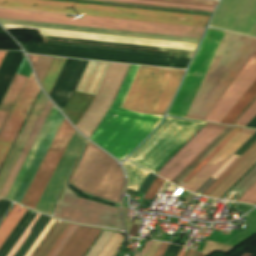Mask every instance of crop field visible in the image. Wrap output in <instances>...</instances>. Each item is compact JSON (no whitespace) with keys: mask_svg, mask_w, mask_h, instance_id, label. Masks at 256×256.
Listing matches in <instances>:
<instances>
[{"mask_svg":"<svg viewBox=\"0 0 256 256\" xmlns=\"http://www.w3.org/2000/svg\"><path fill=\"white\" fill-rule=\"evenodd\" d=\"M214 32L207 31L168 113H176ZM225 33L216 30L176 115H168L186 117ZM255 48V38L226 33L186 118L204 120Z\"/></svg>","mask_w":256,"mask_h":256,"instance_id":"8a807250","label":"crop field"},{"mask_svg":"<svg viewBox=\"0 0 256 256\" xmlns=\"http://www.w3.org/2000/svg\"><path fill=\"white\" fill-rule=\"evenodd\" d=\"M139 67L131 66L112 108L90 138L119 161L123 160L162 118L120 108Z\"/></svg>","mask_w":256,"mask_h":256,"instance_id":"ac0d7876","label":"crop field"},{"mask_svg":"<svg viewBox=\"0 0 256 256\" xmlns=\"http://www.w3.org/2000/svg\"><path fill=\"white\" fill-rule=\"evenodd\" d=\"M0 6L81 15H97L201 27H205L210 18L206 16L176 14L50 0H0Z\"/></svg>","mask_w":256,"mask_h":256,"instance_id":"34b2d1b8","label":"crop field"},{"mask_svg":"<svg viewBox=\"0 0 256 256\" xmlns=\"http://www.w3.org/2000/svg\"><path fill=\"white\" fill-rule=\"evenodd\" d=\"M184 70L141 66L122 108L163 115Z\"/></svg>","mask_w":256,"mask_h":256,"instance_id":"412701ff","label":"crop field"},{"mask_svg":"<svg viewBox=\"0 0 256 256\" xmlns=\"http://www.w3.org/2000/svg\"><path fill=\"white\" fill-rule=\"evenodd\" d=\"M0 18L39 21L48 23L98 27L107 29L147 32L156 34L200 38L204 29L201 27L101 18L83 16L82 19L65 17L63 14L0 8Z\"/></svg>","mask_w":256,"mask_h":256,"instance_id":"f4fd0767","label":"crop field"},{"mask_svg":"<svg viewBox=\"0 0 256 256\" xmlns=\"http://www.w3.org/2000/svg\"><path fill=\"white\" fill-rule=\"evenodd\" d=\"M204 124L166 117L158 129L128 160L155 173Z\"/></svg>","mask_w":256,"mask_h":256,"instance_id":"dd49c442","label":"crop field"},{"mask_svg":"<svg viewBox=\"0 0 256 256\" xmlns=\"http://www.w3.org/2000/svg\"><path fill=\"white\" fill-rule=\"evenodd\" d=\"M53 215L68 221L122 229L117 208L79 198L68 187Z\"/></svg>","mask_w":256,"mask_h":256,"instance_id":"e52e79f7","label":"crop field"},{"mask_svg":"<svg viewBox=\"0 0 256 256\" xmlns=\"http://www.w3.org/2000/svg\"><path fill=\"white\" fill-rule=\"evenodd\" d=\"M74 131L75 130L73 129V127L64 118L44 160L42 161L22 201V204L33 209L35 208Z\"/></svg>","mask_w":256,"mask_h":256,"instance_id":"d8731c3e","label":"crop field"},{"mask_svg":"<svg viewBox=\"0 0 256 256\" xmlns=\"http://www.w3.org/2000/svg\"><path fill=\"white\" fill-rule=\"evenodd\" d=\"M247 0H222L210 26L227 30ZM229 31L256 37V0H248Z\"/></svg>","mask_w":256,"mask_h":256,"instance_id":"5a996713","label":"crop field"},{"mask_svg":"<svg viewBox=\"0 0 256 256\" xmlns=\"http://www.w3.org/2000/svg\"><path fill=\"white\" fill-rule=\"evenodd\" d=\"M2 25L6 29L39 30L41 35H46V36L87 39V40H97V41H107V42H118V43H128V44H138V45H148V46H159V47H169V48H179V49H189V50H194L197 45V44H193V43L133 38V37H124V36L74 32V31L5 25V24H2Z\"/></svg>","mask_w":256,"mask_h":256,"instance_id":"3316defc","label":"crop field"},{"mask_svg":"<svg viewBox=\"0 0 256 256\" xmlns=\"http://www.w3.org/2000/svg\"><path fill=\"white\" fill-rule=\"evenodd\" d=\"M34 79L32 73L0 134V166L40 90Z\"/></svg>","mask_w":256,"mask_h":256,"instance_id":"28ad6ade","label":"crop field"},{"mask_svg":"<svg viewBox=\"0 0 256 256\" xmlns=\"http://www.w3.org/2000/svg\"><path fill=\"white\" fill-rule=\"evenodd\" d=\"M256 79V50L229 85L211 112L206 121L219 123L237 100Z\"/></svg>","mask_w":256,"mask_h":256,"instance_id":"d1516ede","label":"crop field"},{"mask_svg":"<svg viewBox=\"0 0 256 256\" xmlns=\"http://www.w3.org/2000/svg\"><path fill=\"white\" fill-rule=\"evenodd\" d=\"M225 126L207 123L162 169L158 176L171 181Z\"/></svg>","mask_w":256,"mask_h":256,"instance_id":"22f410ed","label":"crop field"},{"mask_svg":"<svg viewBox=\"0 0 256 256\" xmlns=\"http://www.w3.org/2000/svg\"><path fill=\"white\" fill-rule=\"evenodd\" d=\"M256 131L242 129L213 159H211L183 188L195 192L232 154Z\"/></svg>","mask_w":256,"mask_h":256,"instance_id":"cbeb9de0","label":"crop field"},{"mask_svg":"<svg viewBox=\"0 0 256 256\" xmlns=\"http://www.w3.org/2000/svg\"><path fill=\"white\" fill-rule=\"evenodd\" d=\"M52 106L53 105L47 99V101H46V103H45V105H44V107H43V109H42V111H41L33 129H32V131L30 132V134H29V136H28V138H27V140H26V142H25V144H24L16 162L14 163V165H13V167H12V169H11V171H10V173H9V175H8V177H7L5 183H4V185H3V187L0 191V196L6 198L8 192H9V190H10V188H11V186H12V184H13V182H14V180H15V178H16L19 170H20V168L22 167V165H23V163H24V161H25V159H26V157H27L35 139H36V137L38 136V134H39V132H40V130H41V128H42V126H43V124H44V122H45V120H46V118H47V116H48V114L51 110V108H52Z\"/></svg>","mask_w":256,"mask_h":256,"instance_id":"5142ce71","label":"crop field"},{"mask_svg":"<svg viewBox=\"0 0 256 256\" xmlns=\"http://www.w3.org/2000/svg\"><path fill=\"white\" fill-rule=\"evenodd\" d=\"M47 97L44 95V93L41 91L25 125L23 126L8 158L6 159L1 171H0V189L13 165V163L15 162L29 132L31 131L45 101H46Z\"/></svg>","mask_w":256,"mask_h":256,"instance_id":"d9b57169","label":"crop field"},{"mask_svg":"<svg viewBox=\"0 0 256 256\" xmlns=\"http://www.w3.org/2000/svg\"><path fill=\"white\" fill-rule=\"evenodd\" d=\"M100 231L98 228L79 226L58 256H83Z\"/></svg>","mask_w":256,"mask_h":256,"instance_id":"733c2abd","label":"crop field"},{"mask_svg":"<svg viewBox=\"0 0 256 256\" xmlns=\"http://www.w3.org/2000/svg\"><path fill=\"white\" fill-rule=\"evenodd\" d=\"M109 64L89 61L75 90L94 95Z\"/></svg>","mask_w":256,"mask_h":256,"instance_id":"4a817a6b","label":"crop field"},{"mask_svg":"<svg viewBox=\"0 0 256 256\" xmlns=\"http://www.w3.org/2000/svg\"><path fill=\"white\" fill-rule=\"evenodd\" d=\"M57 111L58 110L53 106V108H52V110H51V112H50V114H49V116H48L40 134H39V136L37 137L32 149H31V151H30V153H29V155H28V157H27V159H26V161L23 165V167L21 168V170H20V172H19V174H18V176H17V178H16L8 196H7V199L13 200V198H14V196H15V194H16V192H17V190H18V188H19V186H20V184H21V182H22V180H23V178H24L32 160H33V158H34V156L36 155V153H37V151H38V149H39V147H40V145H41V143H42V141H43V139H44V137H45V135H46V133H47L54 117H55V115H56V113H57Z\"/></svg>","mask_w":256,"mask_h":256,"instance_id":"bc2a9ffb","label":"crop field"},{"mask_svg":"<svg viewBox=\"0 0 256 256\" xmlns=\"http://www.w3.org/2000/svg\"><path fill=\"white\" fill-rule=\"evenodd\" d=\"M27 80V77L15 74L1 104H0V132Z\"/></svg>","mask_w":256,"mask_h":256,"instance_id":"214f88e0","label":"crop field"},{"mask_svg":"<svg viewBox=\"0 0 256 256\" xmlns=\"http://www.w3.org/2000/svg\"><path fill=\"white\" fill-rule=\"evenodd\" d=\"M233 128L226 126L171 182L177 185Z\"/></svg>","mask_w":256,"mask_h":256,"instance_id":"92a150f3","label":"crop field"},{"mask_svg":"<svg viewBox=\"0 0 256 256\" xmlns=\"http://www.w3.org/2000/svg\"><path fill=\"white\" fill-rule=\"evenodd\" d=\"M68 226L69 223L57 220L32 256H47Z\"/></svg>","mask_w":256,"mask_h":256,"instance_id":"dafd665d","label":"crop field"},{"mask_svg":"<svg viewBox=\"0 0 256 256\" xmlns=\"http://www.w3.org/2000/svg\"><path fill=\"white\" fill-rule=\"evenodd\" d=\"M98 1L158 6V7L178 8V9L208 11V12H212L214 9V7H211V6L191 5V4L152 1V0H98Z\"/></svg>","mask_w":256,"mask_h":256,"instance_id":"00972430","label":"crop field"},{"mask_svg":"<svg viewBox=\"0 0 256 256\" xmlns=\"http://www.w3.org/2000/svg\"><path fill=\"white\" fill-rule=\"evenodd\" d=\"M255 94L256 80L244 93V95L238 100V102L233 106V108L227 113V115L222 119L220 123L231 124L233 120L238 116V114L249 103V101L254 97Z\"/></svg>","mask_w":256,"mask_h":256,"instance_id":"a9b5d70f","label":"crop field"},{"mask_svg":"<svg viewBox=\"0 0 256 256\" xmlns=\"http://www.w3.org/2000/svg\"><path fill=\"white\" fill-rule=\"evenodd\" d=\"M18 208L19 205L15 204V206L12 208V210L9 212L7 217L0 225V246L5 241L10 232L13 230V228L16 226L21 217L24 215V213L27 211L26 208H23L22 211L18 214L16 212Z\"/></svg>","mask_w":256,"mask_h":256,"instance_id":"4177f3b9","label":"crop field"},{"mask_svg":"<svg viewBox=\"0 0 256 256\" xmlns=\"http://www.w3.org/2000/svg\"><path fill=\"white\" fill-rule=\"evenodd\" d=\"M235 127L182 181L188 182L213 156H215L239 131Z\"/></svg>","mask_w":256,"mask_h":256,"instance_id":"730fd06b","label":"crop field"},{"mask_svg":"<svg viewBox=\"0 0 256 256\" xmlns=\"http://www.w3.org/2000/svg\"><path fill=\"white\" fill-rule=\"evenodd\" d=\"M123 165L128 175L127 188L137 191V189L139 188V186L147 176L148 172L136 167L137 165L135 166L127 161H125Z\"/></svg>","mask_w":256,"mask_h":256,"instance_id":"eef30255","label":"crop field"},{"mask_svg":"<svg viewBox=\"0 0 256 256\" xmlns=\"http://www.w3.org/2000/svg\"><path fill=\"white\" fill-rule=\"evenodd\" d=\"M65 60L66 59L55 57L51 64V67L46 75V78H45L43 84H42L43 89L46 91V93L48 95L58 77V74H59Z\"/></svg>","mask_w":256,"mask_h":256,"instance_id":"ae1a2a85","label":"crop field"},{"mask_svg":"<svg viewBox=\"0 0 256 256\" xmlns=\"http://www.w3.org/2000/svg\"><path fill=\"white\" fill-rule=\"evenodd\" d=\"M34 69L36 71V74L38 76V79L40 83L42 84L45 75L50 67V64L54 57H48V56H35V55H28Z\"/></svg>","mask_w":256,"mask_h":256,"instance_id":"d3111659","label":"crop field"},{"mask_svg":"<svg viewBox=\"0 0 256 256\" xmlns=\"http://www.w3.org/2000/svg\"><path fill=\"white\" fill-rule=\"evenodd\" d=\"M256 149V142L234 163L229 169L202 195L208 196L239 164H241L254 150Z\"/></svg>","mask_w":256,"mask_h":256,"instance_id":"750c4746","label":"crop field"},{"mask_svg":"<svg viewBox=\"0 0 256 256\" xmlns=\"http://www.w3.org/2000/svg\"><path fill=\"white\" fill-rule=\"evenodd\" d=\"M77 228V225L70 224L48 256H57Z\"/></svg>","mask_w":256,"mask_h":256,"instance_id":"bd1437ed","label":"crop field"},{"mask_svg":"<svg viewBox=\"0 0 256 256\" xmlns=\"http://www.w3.org/2000/svg\"><path fill=\"white\" fill-rule=\"evenodd\" d=\"M238 156H232L222 167L195 193L201 195L236 159Z\"/></svg>","mask_w":256,"mask_h":256,"instance_id":"1d83c4d3","label":"crop field"},{"mask_svg":"<svg viewBox=\"0 0 256 256\" xmlns=\"http://www.w3.org/2000/svg\"><path fill=\"white\" fill-rule=\"evenodd\" d=\"M256 115V100L233 125L245 126Z\"/></svg>","mask_w":256,"mask_h":256,"instance_id":"120bbe31","label":"crop field"},{"mask_svg":"<svg viewBox=\"0 0 256 256\" xmlns=\"http://www.w3.org/2000/svg\"><path fill=\"white\" fill-rule=\"evenodd\" d=\"M237 202L256 204V183Z\"/></svg>","mask_w":256,"mask_h":256,"instance_id":"d32e631a","label":"crop field"},{"mask_svg":"<svg viewBox=\"0 0 256 256\" xmlns=\"http://www.w3.org/2000/svg\"><path fill=\"white\" fill-rule=\"evenodd\" d=\"M164 180L160 178H156V180L152 183L149 190L147 191L146 195L144 196V199H153L155 194L157 193L158 189L162 185Z\"/></svg>","mask_w":256,"mask_h":256,"instance_id":"5866460e","label":"crop field"},{"mask_svg":"<svg viewBox=\"0 0 256 256\" xmlns=\"http://www.w3.org/2000/svg\"><path fill=\"white\" fill-rule=\"evenodd\" d=\"M162 1L182 2V3L211 5V6H215L217 3V1H212V0H162Z\"/></svg>","mask_w":256,"mask_h":256,"instance_id":"028f5c9d","label":"crop field"},{"mask_svg":"<svg viewBox=\"0 0 256 256\" xmlns=\"http://www.w3.org/2000/svg\"><path fill=\"white\" fill-rule=\"evenodd\" d=\"M155 178L156 176L149 173L145 181L142 183V185L138 189V192L146 193V191L148 190L149 186L151 185V183L154 181Z\"/></svg>","mask_w":256,"mask_h":256,"instance_id":"e1f06a70","label":"crop field"},{"mask_svg":"<svg viewBox=\"0 0 256 256\" xmlns=\"http://www.w3.org/2000/svg\"><path fill=\"white\" fill-rule=\"evenodd\" d=\"M167 246H168V244L162 243V245L160 246V248L158 249V251L156 252V254L154 256H161Z\"/></svg>","mask_w":256,"mask_h":256,"instance_id":"0bd39190","label":"crop field"},{"mask_svg":"<svg viewBox=\"0 0 256 256\" xmlns=\"http://www.w3.org/2000/svg\"><path fill=\"white\" fill-rule=\"evenodd\" d=\"M152 243H153V241H147L146 245L144 246V248L142 249V251L140 253L142 256H144L146 254V252L148 251V249Z\"/></svg>","mask_w":256,"mask_h":256,"instance_id":"b80d0937","label":"crop field"},{"mask_svg":"<svg viewBox=\"0 0 256 256\" xmlns=\"http://www.w3.org/2000/svg\"><path fill=\"white\" fill-rule=\"evenodd\" d=\"M198 252L189 249V251L187 252V254L185 256H197Z\"/></svg>","mask_w":256,"mask_h":256,"instance_id":"c035e120","label":"crop field"},{"mask_svg":"<svg viewBox=\"0 0 256 256\" xmlns=\"http://www.w3.org/2000/svg\"><path fill=\"white\" fill-rule=\"evenodd\" d=\"M183 249H184V247H182V249L180 250V252H179V254H178L177 256H184V255H185V253H184V252H182V251H183Z\"/></svg>","mask_w":256,"mask_h":256,"instance_id":"c21b1889","label":"crop field"},{"mask_svg":"<svg viewBox=\"0 0 256 256\" xmlns=\"http://www.w3.org/2000/svg\"><path fill=\"white\" fill-rule=\"evenodd\" d=\"M4 53H5V51H0V61H1V59H2V57H3V55H4Z\"/></svg>","mask_w":256,"mask_h":256,"instance_id":"03da06ac","label":"crop field"},{"mask_svg":"<svg viewBox=\"0 0 256 256\" xmlns=\"http://www.w3.org/2000/svg\"><path fill=\"white\" fill-rule=\"evenodd\" d=\"M41 37H42V39H43V42H45L44 37H43V36H41ZM45 43H46V42H45ZM193 52H194V51H192L191 56H192ZM191 56H190V57H191Z\"/></svg>","mask_w":256,"mask_h":256,"instance_id":"b54c1fbb","label":"crop field"},{"mask_svg":"<svg viewBox=\"0 0 256 256\" xmlns=\"http://www.w3.org/2000/svg\"><path fill=\"white\" fill-rule=\"evenodd\" d=\"M203 255V254H202ZM200 253H199V255L198 256H202Z\"/></svg>","mask_w":256,"mask_h":256,"instance_id":"5d738f31","label":"crop field"},{"mask_svg":"<svg viewBox=\"0 0 256 256\" xmlns=\"http://www.w3.org/2000/svg\"><path fill=\"white\" fill-rule=\"evenodd\" d=\"M135 256H138L137 254Z\"/></svg>","mask_w":256,"mask_h":256,"instance_id":"d23c7cc5","label":"crop field"}]
</instances>
